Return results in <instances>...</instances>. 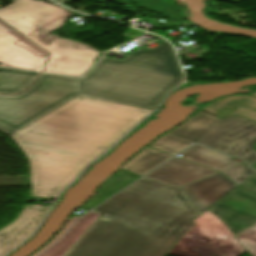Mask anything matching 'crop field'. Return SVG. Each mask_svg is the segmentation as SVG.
<instances>
[{"instance_id":"28","label":"crop field","mask_w":256,"mask_h":256,"mask_svg":"<svg viewBox=\"0 0 256 256\" xmlns=\"http://www.w3.org/2000/svg\"><path fill=\"white\" fill-rule=\"evenodd\" d=\"M254 96H256V93H253Z\"/></svg>"},{"instance_id":"22","label":"crop field","mask_w":256,"mask_h":256,"mask_svg":"<svg viewBox=\"0 0 256 256\" xmlns=\"http://www.w3.org/2000/svg\"><path fill=\"white\" fill-rule=\"evenodd\" d=\"M235 237L251 256H256V226Z\"/></svg>"},{"instance_id":"15","label":"crop field","mask_w":256,"mask_h":256,"mask_svg":"<svg viewBox=\"0 0 256 256\" xmlns=\"http://www.w3.org/2000/svg\"><path fill=\"white\" fill-rule=\"evenodd\" d=\"M99 216L100 214L90 212L80 218L66 235L40 256H63Z\"/></svg>"},{"instance_id":"18","label":"crop field","mask_w":256,"mask_h":256,"mask_svg":"<svg viewBox=\"0 0 256 256\" xmlns=\"http://www.w3.org/2000/svg\"><path fill=\"white\" fill-rule=\"evenodd\" d=\"M39 74L0 68V93L16 94L26 88Z\"/></svg>"},{"instance_id":"8","label":"crop field","mask_w":256,"mask_h":256,"mask_svg":"<svg viewBox=\"0 0 256 256\" xmlns=\"http://www.w3.org/2000/svg\"><path fill=\"white\" fill-rule=\"evenodd\" d=\"M193 221L216 256H240L245 253L233 234L210 211Z\"/></svg>"},{"instance_id":"26","label":"crop field","mask_w":256,"mask_h":256,"mask_svg":"<svg viewBox=\"0 0 256 256\" xmlns=\"http://www.w3.org/2000/svg\"><path fill=\"white\" fill-rule=\"evenodd\" d=\"M168 4L170 6V8L173 10V12L178 16V18L183 22V19L181 18L180 14L178 13V11L176 10V8L173 5V2L171 0H168Z\"/></svg>"},{"instance_id":"27","label":"crop field","mask_w":256,"mask_h":256,"mask_svg":"<svg viewBox=\"0 0 256 256\" xmlns=\"http://www.w3.org/2000/svg\"><path fill=\"white\" fill-rule=\"evenodd\" d=\"M251 167H254V168H256V162L251 166Z\"/></svg>"},{"instance_id":"4","label":"crop field","mask_w":256,"mask_h":256,"mask_svg":"<svg viewBox=\"0 0 256 256\" xmlns=\"http://www.w3.org/2000/svg\"><path fill=\"white\" fill-rule=\"evenodd\" d=\"M13 3L11 7L0 9V18L52 53L44 71L78 76L93 64L99 51L47 33L63 25L71 16L66 10L34 0H15ZM43 34L51 37L41 38Z\"/></svg>"},{"instance_id":"7","label":"crop field","mask_w":256,"mask_h":256,"mask_svg":"<svg viewBox=\"0 0 256 256\" xmlns=\"http://www.w3.org/2000/svg\"><path fill=\"white\" fill-rule=\"evenodd\" d=\"M210 210L237 234L256 224V195L237 186Z\"/></svg>"},{"instance_id":"25","label":"crop field","mask_w":256,"mask_h":256,"mask_svg":"<svg viewBox=\"0 0 256 256\" xmlns=\"http://www.w3.org/2000/svg\"><path fill=\"white\" fill-rule=\"evenodd\" d=\"M31 195L36 197L49 198V199H56L57 197L56 194H50V193L34 191V190L31 191Z\"/></svg>"},{"instance_id":"29","label":"crop field","mask_w":256,"mask_h":256,"mask_svg":"<svg viewBox=\"0 0 256 256\" xmlns=\"http://www.w3.org/2000/svg\"><path fill=\"white\" fill-rule=\"evenodd\" d=\"M256 150V149H255Z\"/></svg>"},{"instance_id":"3","label":"crop field","mask_w":256,"mask_h":256,"mask_svg":"<svg viewBox=\"0 0 256 256\" xmlns=\"http://www.w3.org/2000/svg\"><path fill=\"white\" fill-rule=\"evenodd\" d=\"M97 219L64 256H165L199 216L182 188L143 177L96 208Z\"/></svg>"},{"instance_id":"23","label":"crop field","mask_w":256,"mask_h":256,"mask_svg":"<svg viewBox=\"0 0 256 256\" xmlns=\"http://www.w3.org/2000/svg\"><path fill=\"white\" fill-rule=\"evenodd\" d=\"M79 216H76L75 218H71L70 221L65 225L63 230L50 242L48 243L45 247H43L41 250L33 254L32 256H36L39 253H41L44 249H46L50 244H52L56 239H58L72 224L73 222L78 218ZM57 241V240H56ZM51 246V245H50Z\"/></svg>"},{"instance_id":"14","label":"crop field","mask_w":256,"mask_h":256,"mask_svg":"<svg viewBox=\"0 0 256 256\" xmlns=\"http://www.w3.org/2000/svg\"><path fill=\"white\" fill-rule=\"evenodd\" d=\"M139 177H141V175L119 169L115 175L101 185L96 191V194L81 206V208L87 210L92 209Z\"/></svg>"},{"instance_id":"2","label":"crop field","mask_w":256,"mask_h":256,"mask_svg":"<svg viewBox=\"0 0 256 256\" xmlns=\"http://www.w3.org/2000/svg\"><path fill=\"white\" fill-rule=\"evenodd\" d=\"M149 112L78 96L11 138L29 160L32 189L59 194Z\"/></svg>"},{"instance_id":"5","label":"crop field","mask_w":256,"mask_h":256,"mask_svg":"<svg viewBox=\"0 0 256 256\" xmlns=\"http://www.w3.org/2000/svg\"><path fill=\"white\" fill-rule=\"evenodd\" d=\"M246 161L256 160V123L239 115L220 120L199 111L179 127L167 132Z\"/></svg>"},{"instance_id":"19","label":"crop field","mask_w":256,"mask_h":256,"mask_svg":"<svg viewBox=\"0 0 256 256\" xmlns=\"http://www.w3.org/2000/svg\"><path fill=\"white\" fill-rule=\"evenodd\" d=\"M191 144L192 143H190L188 141L182 140L173 135H169V134L165 133L163 136H161L160 138L155 140L149 146L153 147L157 150L174 155V154L186 149Z\"/></svg>"},{"instance_id":"12","label":"crop field","mask_w":256,"mask_h":256,"mask_svg":"<svg viewBox=\"0 0 256 256\" xmlns=\"http://www.w3.org/2000/svg\"><path fill=\"white\" fill-rule=\"evenodd\" d=\"M200 110L220 118L239 114L256 122V97L250 95L225 96L214 100Z\"/></svg>"},{"instance_id":"10","label":"crop field","mask_w":256,"mask_h":256,"mask_svg":"<svg viewBox=\"0 0 256 256\" xmlns=\"http://www.w3.org/2000/svg\"><path fill=\"white\" fill-rule=\"evenodd\" d=\"M47 210L48 208L26 205L14 223L1 229L0 256L28 237Z\"/></svg>"},{"instance_id":"24","label":"crop field","mask_w":256,"mask_h":256,"mask_svg":"<svg viewBox=\"0 0 256 256\" xmlns=\"http://www.w3.org/2000/svg\"><path fill=\"white\" fill-rule=\"evenodd\" d=\"M240 185L256 193V173Z\"/></svg>"},{"instance_id":"6","label":"crop field","mask_w":256,"mask_h":256,"mask_svg":"<svg viewBox=\"0 0 256 256\" xmlns=\"http://www.w3.org/2000/svg\"><path fill=\"white\" fill-rule=\"evenodd\" d=\"M47 55L0 21V66L41 71Z\"/></svg>"},{"instance_id":"11","label":"crop field","mask_w":256,"mask_h":256,"mask_svg":"<svg viewBox=\"0 0 256 256\" xmlns=\"http://www.w3.org/2000/svg\"><path fill=\"white\" fill-rule=\"evenodd\" d=\"M214 173L218 172L174 158L145 177L180 187Z\"/></svg>"},{"instance_id":"1","label":"crop field","mask_w":256,"mask_h":256,"mask_svg":"<svg viewBox=\"0 0 256 256\" xmlns=\"http://www.w3.org/2000/svg\"><path fill=\"white\" fill-rule=\"evenodd\" d=\"M181 81L165 41L123 60L102 57L83 78L42 73L18 96L0 95V130L12 135L78 95L153 110Z\"/></svg>"},{"instance_id":"20","label":"crop field","mask_w":256,"mask_h":256,"mask_svg":"<svg viewBox=\"0 0 256 256\" xmlns=\"http://www.w3.org/2000/svg\"><path fill=\"white\" fill-rule=\"evenodd\" d=\"M144 1V2H142ZM134 3L147 8L152 11H156L167 16L173 24L180 23L181 21L176 17V15L168 7L166 0H135ZM175 19V20H173Z\"/></svg>"},{"instance_id":"21","label":"crop field","mask_w":256,"mask_h":256,"mask_svg":"<svg viewBox=\"0 0 256 256\" xmlns=\"http://www.w3.org/2000/svg\"><path fill=\"white\" fill-rule=\"evenodd\" d=\"M255 172V170L245 165H239L237 167L225 170L222 173L239 185L241 182H243Z\"/></svg>"},{"instance_id":"17","label":"crop field","mask_w":256,"mask_h":256,"mask_svg":"<svg viewBox=\"0 0 256 256\" xmlns=\"http://www.w3.org/2000/svg\"><path fill=\"white\" fill-rule=\"evenodd\" d=\"M170 157L171 156L167 154L146 147L124 164L121 169L143 175L159 166Z\"/></svg>"},{"instance_id":"13","label":"crop field","mask_w":256,"mask_h":256,"mask_svg":"<svg viewBox=\"0 0 256 256\" xmlns=\"http://www.w3.org/2000/svg\"><path fill=\"white\" fill-rule=\"evenodd\" d=\"M180 155H182L181 158L218 171H223L240 164L239 162L231 160V157L221 155L199 145H194Z\"/></svg>"},{"instance_id":"9","label":"crop field","mask_w":256,"mask_h":256,"mask_svg":"<svg viewBox=\"0 0 256 256\" xmlns=\"http://www.w3.org/2000/svg\"><path fill=\"white\" fill-rule=\"evenodd\" d=\"M236 186L237 185L218 173L182 188L200 215Z\"/></svg>"},{"instance_id":"16","label":"crop field","mask_w":256,"mask_h":256,"mask_svg":"<svg viewBox=\"0 0 256 256\" xmlns=\"http://www.w3.org/2000/svg\"><path fill=\"white\" fill-rule=\"evenodd\" d=\"M169 254L176 256H215L195 225L188 230Z\"/></svg>"}]
</instances>
